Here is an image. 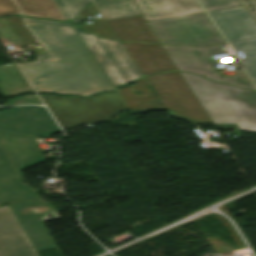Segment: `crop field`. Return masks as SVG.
Returning <instances> with one entry per match:
<instances>
[{
  "mask_svg": "<svg viewBox=\"0 0 256 256\" xmlns=\"http://www.w3.org/2000/svg\"><path fill=\"white\" fill-rule=\"evenodd\" d=\"M230 44L235 51H242L245 58L240 59V61L256 83V39L232 42Z\"/></svg>",
  "mask_w": 256,
  "mask_h": 256,
  "instance_id": "214f88e0",
  "label": "crop field"
},
{
  "mask_svg": "<svg viewBox=\"0 0 256 256\" xmlns=\"http://www.w3.org/2000/svg\"><path fill=\"white\" fill-rule=\"evenodd\" d=\"M181 74L214 124L236 123L240 131L256 132V91Z\"/></svg>",
  "mask_w": 256,
  "mask_h": 256,
  "instance_id": "ac0d7876",
  "label": "crop field"
},
{
  "mask_svg": "<svg viewBox=\"0 0 256 256\" xmlns=\"http://www.w3.org/2000/svg\"><path fill=\"white\" fill-rule=\"evenodd\" d=\"M116 92L129 110L165 109L146 78Z\"/></svg>",
  "mask_w": 256,
  "mask_h": 256,
  "instance_id": "5142ce71",
  "label": "crop field"
},
{
  "mask_svg": "<svg viewBox=\"0 0 256 256\" xmlns=\"http://www.w3.org/2000/svg\"><path fill=\"white\" fill-rule=\"evenodd\" d=\"M21 74L16 64L0 65V90L3 96L33 93Z\"/></svg>",
  "mask_w": 256,
  "mask_h": 256,
  "instance_id": "733c2abd",
  "label": "crop field"
},
{
  "mask_svg": "<svg viewBox=\"0 0 256 256\" xmlns=\"http://www.w3.org/2000/svg\"><path fill=\"white\" fill-rule=\"evenodd\" d=\"M98 11L96 10V8L94 7L93 3H91L90 5H88L83 11L82 13L77 17V19L79 18H84V17H89V16H93L95 14H97Z\"/></svg>",
  "mask_w": 256,
  "mask_h": 256,
  "instance_id": "eef30255",
  "label": "crop field"
},
{
  "mask_svg": "<svg viewBox=\"0 0 256 256\" xmlns=\"http://www.w3.org/2000/svg\"><path fill=\"white\" fill-rule=\"evenodd\" d=\"M24 20L47 53L18 64L36 91L90 95L113 89L69 23Z\"/></svg>",
  "mask_w": 256,
  "mask_h": 256,
  "instance_id": "8a807250",
  "label": "crop field"
},
{
  "mask_svg": "<svg viewBox=\"0 0 256 256\" xmlns=\"http://www.w3.org/2000/svg\"><path fill=\"white\" fill-rule=\"evenodd\" d=\"M17 104H41V101L39 100L38 96L29 95V96L18 97L3 105H17Z\"/></svg>",
  "mask_w": 256,
  "mask_h": 256,
  "instance_id": "4177f3b9",
  "label": "crop field"
},
{
  "mask_svg": "<svg viewBox=\"0 0 256 256\" xmlns=\"http://www.w3.org/2000/svg\"><path fill=\"white\" fill-rule=\"evenodd\" d=\"M15 2L26 16L66 21L53 0H15Z\"/></svg>",
  "mask_w": 256,
  "mask_h": 256,
  "instance_id": "4a817a6b",
  "label": "crop field"
},
{
  "mask_svg": "<svg viewBox=\"0 0 256 256\" xmlns=\"http://www.w3.org/2000/svg\"><path fill=\"white\" fill-rule=\"evenodd\" d=\"M65 18H76L80 12L92 1L91 0H54Z\"/></svg>",
  "mask_w": 256,
  "mask_h": 256,
  "instance_id": "92a150f3",
  "label": "crop field"
},
{
  "mask_svg": "<svg viewBox=\"0 0 256 256\" xmlns=\"http://www.w3.org/2000/svg\"><path fill=\"white\" fill-rule=\"evenodd\" d=\"M147 24L161 44L205 46L224 42L205 13Z\"/></svg>",
  "mask_w": 256,
  "mask_h": 256,
  "instance_id": "f4fd0767",
  "label": "crop field"
},
{
  "mask_svg": "<svg viewBox=\"0 0 256 256\" xmlns=\"http://www.w3.org/2000/svg\"><path fill=\"white\" fill-rule=\"evenodd\" d=\"M256 22V0H240ZM246 10V11H247Z\"/></svg>",
  "mask_w": 256,
  "mask_h": 256,
  "instance_id": "730fd06b",
  "label": "crop field"
},
{
  "mask_svg": "<svg viewBox=\"0 0 256 256\" xmlns=\"http://www.w3.org/2000/svg\"><path fill=\"white\" fill-rule=\"evenodd\" d=\"M41 99L63 130L108 119L125 108L116 92L83 99L53 95Z\"/></svg>",
  "mask_w": 256,
  "mask_h": 256,
  "instance_id": "412701ff",
  "label": "crop field"
},
{
  "mask_svg": "<svg viewBox=\"0 0 256 256\" xmlns=\"http://www.w3.org/2000/svg\"><path fill=\"white\" fill-rule=\"evenodd\" d=\"M200 1L204 5V7L207 9V11L242 5L239 0H200Z\"/></svg>",
  "mask_w": 256,
  "mask_h": 256,
  "instance_id": "00972430",
  "label": "crop field"
},
{
  "mask_svg": "<svg viewBox=\"0 0 256 256\" xmlns=\"http://www.w3.org/2000/svg\"><path fill=\"white\" fill-rule=\"evenodd\" d=\"M0 256H38L9 206L0 208Z\"/></svg>",
  "mask_w": 256,
  "mask_h": 256,
  "instance_id": "28ad6ade",
  "label": "crop field"
},
{
  "mask_svg": "<svg viewBox=\"0 0 256 256\" xmlns=\"http://www.w3.org/2000/svg\"><path fill=\"white\" fill-rule=\"evenodd\" d=\"M122 44L144 76L159 72L177 71L161 45Z\"/></svg>",
  "mask_w": 256,
  "mask_h": 256,
  "instance_id": "22f410ed",
  "label": "crop field"
},
{
  "mask_svg": "<svg viewBox=\"0 0 256 256\" xmlns=\"http://www.w3.org/2000/svg\"><path fill=\"white\" fill-rule=\"evenodd\" d=\"M105 20L138 16L131 0H94Z\"/></svg>",
  "mask_w": 256,
  "mask_h": 256,
  "instance_id": "bc2a9ffb",
  "label": "crop field"
},
{
  "mask_svg": "<svg viewBox=\"0 0 256 256\" xmlns=\"http://www.w3.org/2000/svg\"><path fill=\"white\" fill-rule=\"evenodd\" d=\"M43 160L32 136L0 130V191L5 200L41 199L17 177L18 169Z\"/></svg>",
  "mask_w": 256,
  "mask_h": 256,
  "instance_id": "34b2d1b8",
  "label": "crop field"
},
{
  "mask_svg": "<svg viewBox=\"0 0 256 256\" xmlns=\"http://www.w3.org/2000/svg\"><path fill=\"white\" fill-rule=\"evenodd\" d=\"M163 46V45H162ZM178 71H187L213 81L255 89L244 70L235 71L237 76L221 78L212 67L216 62L212 55L224 53L216 46L205 48L163 46Z\"/></svg>",
  "mask_w": 256,
  "mask_h": 256,
  "instance_id": "d8731c3e",
  "label": "crop field"
},
{
  "mask_svg": "<svg viewBox=\"0 0 256 256\" xmlns=\"http://www.w3.org/2000/svg\"><path fill=\"white\" fill-rule=\"evenodd\" d=\"M11 14H21L13 0H0V17Z\"/></svg>",
  "mask_w": 256,
  "mask_h": 256,
  "instance_id": "a9b5d70f",
  "label": "crop field"
},
{
  "mask_svg": "<svg viewBox=\"0 0 256 256\" xmlns=\"http://www.w3.org/2000/svg\"><path fill=\"white\" fill-rule=\"evenodd\" d=\"M146 22L201 13L195 0H132Z\"/></svg>",
  "mask_w": 256,
  "mask_h": 256,
  "instance_id": "cbeb9de0",
  "label": "crop field"
},
{
  "mask_svg": "<svg viewBox=\"0 0 256 256\" xmlns=\"http://www.w3.org/2000/svg\"><path fill=\"white\" fill-rule=\"evenodd\" d=\"M146 78L169 115L192 124L211 122L180 72L156 74Z\"/></svg>",
  "mask_w": 256,
  "mask_h": 256,
  "instance_id": "dd49c442",
  "label": "crop field"
},
{
  "mask_svg": "<svg viewBox=\"0 0 256 256\" xmlns=\"http://www.w3.org/2000/svg\"><path fill=\"white\" fill-rule=\"evenodd\" d=\"M93 22L94 25L81 26L86 33H96L99 37L118 40L104 19Z\"/></svg>",
  "mask_w": 256,
  "mask_h": 256,
  "instance_id": "dafd665d",
  "label": "crop field"
},
{
  "mask_svg": "<svg viewBox=\"0 0 256 256\" xmlns=\"http://www.w3.org/2000/svg\"><path fill=\"white\" fill-rule=\"evenodd\" d=\"M72 26L78 32L114 88L143 77V74L134 64L121 42L97 38L96 35L83 33L78 25Z\"/></svg>",
  "mask_w": 256,
  "mask_h": 256,
  "instance_id": "e52e79f7",
  "label": "crop field"
},
{
  "mask_svg": "<svg viewBox=\"0 0 256 256\" xmlns=\"http://www.w3.org/2000/svg\"><path fill=\"white\" fill-rule=\"evenodd\" d=\"M228 42L255 38L256 23L244 6L209 12Z\"/></svg>",
  "mask_w": 256,
  "mask_h": 256,
  "instance_id": "d1516ede",
  "label": "crop field"
},
{
  "mask_svg": "<svg viewBox=\"0 0 256 256\" xmlns=\"http://www.w3.org/2000/svg\"><path fill=\"white\" fill-rule=\"evenodd\" d=\"M145 22L142 16L107 21L121 41L159 43Z\"/></svg>",
  "mask_w": 256,
  "mask_h": 256,
  "instance_id": "d9b57169",
  "label": "crop field"
},
{
  "mask_svg": "<svg viewBox=\"0 0 256 256\" xmlns=\"http://www.w3.org/2000/svg\"><path fill=\"white\" fill-rule=\"evenodd\" d=\"M0 129L44 138L60 131L46 108L42 106H22L0 112Z\"/></svg>",
  "mask_w": 256,
  "mask_h": 256,
  "instance_id": "3316defc",
  "label": "crop field"
},
{
  "mask_svg": "<svg viewBox=\"0 0 256 256\" xmlns=\"http://www.w3.org/2000/svg\"><path fill=\"white\" fill-rule=\"evenodd\" d=\"M11 210L34 246L35 250L55 247L42 222L58 220L60 217L47 202H8ZM50 214L52 218H48Z\"/></svg>",
  "mask_w": 256,
  "mask_h": 256,
  "instance_id": "5a996713",
  "label": "crop field"
}]
</instances>
